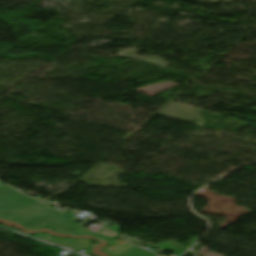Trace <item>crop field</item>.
Here are the masks:
<instances>
[{
    "instance_id": "obj_5",
    "label": "crop field",
    "mask_w": 256,
    "mask_h": 256,
    "mask_svg": "<svg viewBox=\"0 0 256 256\" xmlns=\"http://www.w3.org/2000/svg\"><path fill=\"white\" fill-rule=\"evenodd\" d=\"M79 256H82V255H79Z\"/></svg>"
},
{
    "instance_id": "obj_1",
    "label": "crop field",
    "mask_w": 256,
    "mask_h": 256,
    "mask_svg": "<svg viewBox=\"0 0 256 256\" xmlns=\"http://www.w3.org/2000/svg\"><path fill=\"white\" fill-rule=\"evenodd\" d=\"M37 201L39 200L26 197L4 185L0 187V217L15 222H26L29 228L42 224L43 227L62 233H72L82 228L74 224L77 218L74 212L68 210L61 214Z\"/></svg>"
},
{
    "instance_id": "obj_3",
    "label": "crop field",
    "mask_w": 256,
    "mask_h": 256,
    "mask_svg": "<svg viewBox=\"0 0 256 256\" xmlns=\"http://www.w3.org/2000/svg\"><path fill=\"white\" fill-rule=\"evenodd\" d=\"M117 256H154V254L134 246Z\"/></svg>"
},
{
    "instance_id": "obj_4",
    "label": "crop field",
    "mask_w": 256,
    "mask_h": 256,
    "mask_svg": "<svg viewBox=\"0 0 256 256\" xmlns=\"http://www.w3.org/2000/svg\"><path fill=\"white\" fill-rule=\"evenodd\" d=\"M254 98H255V97H254ZM255 100H256V98H255ZM251 111H256V108L251 109Z\"/></svg>"
},
{
    "instance_id": "obj_2",
    "label": "crop field",
    "mask_w": 256,
    "mask_h": 256,
    "mask_svg": "<svg viewBox=\"0 0 256 256\" xmlns=\"http://www.w3.org/2000/svg\"><path fill=\"white\" fill-rule=\"evenodd\" d=\"M48 236L47 235H43V234H39L38 238L47 242H51L57 245H61L67 248H71L74 250H85V249H89L91 242L90 241H86L83 239L80 240H58V239H54L52 238L51 240L46 239Z\"/></svg>"
}]
</instances>
